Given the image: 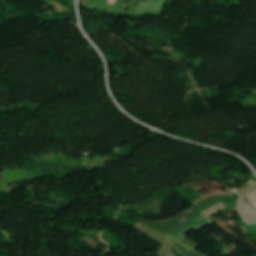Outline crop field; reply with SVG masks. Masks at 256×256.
Returning <instances> with one entry per match:
<instances>
[{
  "label": "crop field",
  "mask_w": 256,
  "mask_h": 256,
  "mask_svg": "<svg viewBox=\"0 0 256 256\" xmlns=\"http://www.w3.org/2000/svg\"><path fill=\"white\" fill-rule=\"evenodd\" d=\"M241 196L245 195L248 202L256 210V182H251L250 185L242 190L237 191Z\"/></svg>",
  "instance_id": "4"
},
{
  "label": "crop field",
  "mask_w": 256,
  "mask_h": 256,
  "mask_svg": "<svg viewBox=\"0 0 256 256\" xmlns=\"http://www.w3.org/2000/svg\"><path fill=\"white\" fill-rule=\"evenodd\" d=\"M202 213L201 212L198 213L197 215L193 216L192 218H190L186 222L182 223L181 225H179L178 227H176L175 229H173L172 231L168 232L165 235H167L168 237L177 241L178 239H180L182 236H184L186 233H188L193 228L200 229V228L212 223L210 221V219L208 217H206L207 215L205 216ZM184 238H185V236L183 238H181L178 242H180L192 249L199 246L191 241L185 240L186 238L185 239Z\"/></svg>",
  "instance_id": "1"
},
{
  "label": "crop field",
  "mask_w": 256,
  "mask_h": 256,
  "mask_svg": "<svg viewBox=\"0 0 256 256\" xmlns=\"http://www.w3.org/2000/svg\"><path fill=\"white\" fill-rule=\"evenodd\" d=\"M240 208L236 209L239 214L242 216L245 223H255L256 222V213L241 199L238 202Z\"/></svg>",
  "instance_id": "3"
},
{
  "label": "crop field",
  "mask_w": 256,
  "mask_h": 256,
  "mask_svg": "<svg viewBox=\"0 0 256 256\" xmlns=\"http://www.w3.org/2000/svg\"><path fill=\"white\" fill-rule=\"evenodd\" d=\"M173 256H199L198 254L169 241Z\"/></svg>",
  "instance_id": "5"
},
{
  "label": "crop field",
  "mask_w": 256,
  "mask_h": 256,
  "mask_svg": "<svg viewBox=\"0 0 256 256\" xmlns=\"http://www.w3.org/2000/svg\"><path fill=\"white\" fill-rule=\"evenodd\" d=\"M166 0H147L141 2L136 14H160Z\"/></svg>",
  "instance_id": "2"
},
{
  "label": "crop field",
  "mask_w": 256,
  "mask_h": 256,
  "mask_svg": "<svg viewBox=\"0 0 256 256\" xmlns=\"http://www.w3.org/2000/svg\"><path fill=\"white\" fill-rule=\"evenodd\" d=\"M107 0H89L87 7H96L100 9L101 12L104 11Z\"/></svg>",
  "instance_id": "6"
},
{
  "label": "crop field",
  "mask_w": 256,
  "mask_h": 256,
  "mask_svg": "<svg viewBox=\"0 0 256 256\" xmlns=\"http://www.w3.org/2000/svg\"><path fill=\"white\" fill-rule=\"evenodd\" d=\"M108 3H109V4H113V5H114L115 0H109V1H108Z\"/></svg>",
  "instance_id": "8"
},
{
  "label": "crop field",
  "mask_w": 256,
  "mask_h": 256,
  "mask_svg": "<svg viewBox=\"0 0 256 256\" xmlns=\"http://www.w3.org/2000/svg\"><path fill=\"white\" fill-rule=\"evenodd\" d=\"M222 208H224V204H223V203H220V204H218L217 206H215V207H213V208H211V209H208V210H206V211H204V212H205L206 214H208V215H211V214H213V213L219 211V210L222 209Z\"/></svg>",
  "instance_id": "7"
}]
</instances>
